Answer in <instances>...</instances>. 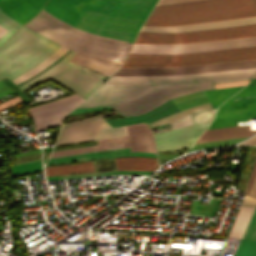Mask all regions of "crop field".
<instances>
[{
	"mask_svg": "<svg viewBox=\"0 0 256 256\" xmlns=\"http://www.w3.org/2000/svg\"><path fill=\"white\" fill-rule=\"evenodd\" d=\"M41 169H43L42 165H41V160H36V161L13 166L12 167V175L15 176V175L28 173V172H32V171H37V170H41Z\"/></svg>",
	"mask_w": 256,
	"mask_h": 256,
	"instance_id": "00972430",
	"label": "crop field"
},
{
	"mask_svg": "<svg viewBox=\"0 0 256 256\" xmlns=\"http://www.w3.org/2000/svg\"><path fill=\"white\" fill-rule=\"evenodd\" d=\"M46 0H0V9L21 25L42 8Z\"/></svg>",
	"mask_w": 256,
	"mask_h": 256,
	"instance_id": "cbeb9de0",
	"label": "crop field"
},
{
	"mask_svg": "<svg viewBox=\"0 0 256 256\" xmlns=\"http://www.w3.org/2000/svg\"><path fill=\"white\" fill-rule=\"evenodd\" d=\"M255 71L256 60L185 67H120L78 108L110 106L115 113L131 117L188 93L215 86L246 85L249 81L246 79H251ZM214 83L219 84L214 86ZM177 111L179 109L169 100L146 114L109 121L111 127L149 123Z\"/></svg>",
	"mask_w": 256,
	"mask_h": 256,
	"instance_id": "8a807250",
	"label": "crop field"
},
{
	"mask_svg": "<svg viewBox=\"0 0 256 256\" xmlns=\"http://www.w3.org/2000/svg\"><path fill=\"white\" fill-rule=\"evenodd\" d=\"M196 0H160L157 6ZM256 15V0H203L155 7L144 26H177Z\"/></svg>",
	"mask_w": 256,
	"mask_h": 256,
	"instance_id": "34b2d1b8",
	"label": "crop field"
},
{
	"mask_svg": "<svg viewBox=\"0 0 256 256\" xmlns=\"http://www.w3.org/2000/svg\"><path fill=\"white\" fill-rule=\"evenodd\" d=\"M241 204L256 205V198H252V197H248L247 195H244V198Z\"/></svg>",
	"mask_w": 256,
	"mask_h": 256,
	"instance_id": "730fd06b",
	"label": "crop field"
},
{
	"mask_svg": "<svg viewBox=\"0 0 256 256\" xmlns=\"http://www.w3.org/2000/svg\"><path fill=\"white\" fill-rule=\"evenodd\" d=\"M0 26L8 32L0 38V46L21 26L0 10Z\"/></svg>",
	"mask_w": 256,
	"mask_h": 256,
	"instance_id": "dafd665d",
	"label": "crop field"
},
{
	"mask_svg": "<svg viewBox=\"0 0 256 256\" xmlns=\"http://www.w3.org/2000/svg\"><path fill=\"white\" fill-rule=\"evenodd\" d=\"M247 59H256V55L185 61V62H171V63L125 62L122 66H185V65L218 63V62L238 61V60H247Z\"/></svg>",
	"mask_w": 256,
	"mask_h": 256,
	"instance_id": "4a817a6b",
	"label": "crop field"
},
{
	"mask_svg": "<svg viewBox=\"0 0 256 256\" xmlns=\"http://www.w3.org/2000/svg\"><path fill=\"white\" fill-rule=\"evenodd\" d=\"M255 174H256V160H255V163H254V166H253V169H252V173H251L249 182H248L247 187H246V189H245V191H244L245 193H248V191H249V189H250V186H251V184H252V182H253V179H254V177H255Z\"/></svg>",
	"mask_w": 256,
	"mask_h": 256,
	"instance_id": "4177f3b9",
	"label": "crop field"
},
{
	"mask_svg": "<svg viewBox=\"0 0 256 256\" xmlns=\"http://www.w3.org/2000/svg\"><path fill=\"white\" fill-rule=\"evenodd\" d=\"M156 2L116 0L109 15L86 9L74 28L133 42ZM24 26L65 47L119 62H123L131 45L130 42L74 29L43 10Z\"/></svg>",
	"mask_w": 256,
	"mask_h": 256,
	"instance_id": "ac0d7876",
	"label": "crop field"
},
{
	"mask_svg": "<svg viewBox=\"0 0 256 256\" xmlns=\"http://www.w3.org/2000/svg\"><path fill=\"white\" fill-rule=\"evenodd\" d=\"M227 237L242 239L235 256H256V207H240Z\"/></svg>",
	"mask_w": 256,
	"mask_h": 256,
	"instance_id": "28ad6ade",
	"label": "crop field"
},
{
	"mask_svg": "<svg viewBox=\"0 0 256 256\" xmlns=\"http://www.w3.org/2000/svg\"><path fill=\"white\" fill-rule=\"evenodd\" d=\"M248 118H256V85L245 86L224 102L208 129L234 126Z\"/></svg>",
	"mask_w": 256,
	"mask_h": 256,
	"instance_id": "d8731c3e",
	"label": "crop field"
},
{
	"mask_svg": "<svg viewBox=\"0 0 256 256\" xmlns=\"http://www.w3.org/2000/svg\"><path fill=\"white\" fill-rule=\"evenodd\" d=\"M70 61L76 62L80 65L93 69L102 74L110 75L112 72L117 70L121 63L83 54L77 53Z\"/></svg>",
	"mask_w": 256,
	"mask_h": 256,
	"instance_id": "d9b57169",
	"label": "crop field"
},
{
	"mask_svg": "<svg viewBox=\"0 0 256 256\" xmlns=\"http://www.w3.org/2000/svg\"><path fill=\"white\" fill-rule=\"evenodd\" d=\"M75 53L72 51L50 69L19 88L25 91L51 78L86 98L106 76L69 62Z\"/></svg>",
	"mask_w": 256,
	"mask_h": 256,
	"instance_id": "f4fd0767",
	"label": "crop field"
},
{
	"mask_svg": "<svg viewBox=\"0 0 256 256\" xmlns=\"http://www.w3.org/2000/svg\"><path fill=\"white\" fill-rule=\"evenodd\" d=\"M110 114L114 113L63 124L55 146L128 134L126 125L111 128L101 118Z\"/></svg>",
	"mask_w": 256,
	"mask_h": 256,
	"instance_id": "e52e79f7",
	"label": "crop field"
},
{
	"mask_svg": "<svg viewBox=\"0 0 256 256\" xmlns=\"http://www.w3.org/2000/svg\"><path fill=\"white\" fill-rule=\"evenodd\" d=\"M67 50H68V48L63 47L58 52L53 54L51 57H49L48 59L43 61L41 64H39L38 66L34 67L33 69L27 71L26 73L22 74L21 76L17 77L16 79H14L12 81L17 84V83L23 81L24 79L38 73L39 71H41L42 69L47 67L49 64H51L52 62L57 60L59 57H61Z\"/></svg>",
	"mask_w": 256,
	"mask_h": 256,
	"instance_id": "92a150f3",
	"label": "crop field"
},
{
	"mask_svg": "<svg viewBox=\"0 0 256 256\" xmlns=\"http://www.w3.org/2000/svg\"><path fill=\"white\" fill-rule=\"evenodd\" d=\"M152 171L145 170H123V171H103L94 173H83V174H72V175H62V176H51L46 177L47 180L53 179H65V178H77V177H89V176H101V175H116V174H150Z\"/></svg>",
	"mask_w": 256,
	"mask_h": 256,
	"instance_id": "214f88e0",
	"label": "crop field"
},
{
	"mask_svg": "<svg viewBox=\"0 0 256 256\" xmlns=\"http://www.w3.org/2000/svg\"><path fill=\"white\" fill-rule=\"evenodd\" d=\"M256 130H250L249 126H234L227 128L206 130L204 134L199 138V142L223 140L230 138L246 137L254 134Z\"/></svg>",
	"mask_w": 256,
	"mask_h": 256,
	"instance_id": "733c2abd",
	"label": "crop field"
},
{
	"mask_svg": "<svg viewBox=\"0 0 256 256\" xmlns=\"http://www.w3.org/2000/svg\"><path fill=\"white\" fill-rule=\"evenodd\" d=\"M252 54H256V48H238L184 55L129 54L126 61L170 62Z\"/></svg>",
	"mask_w": 256,
	"mask_h": 256,
	"instance_id": "22f410ed",
	"label": "crop field"
},
{
	"mask_svg": "<svg viewBox=\"0 0 256 256\" xmlns=\"http://www.w3.org/2000/svg\"><path fill=\"white\" fill-rule=\"evenodd\" d=\"M94 144H97L96 140L88 141V142H82V143H76V144H70V145H64V146H58V147H55L54 150L64 149V148H71V147L86 146V145H94Z\"/></svg>",
	"mask_w": 256,
	"mask_h": 256,
	"instance_id": "a9b5d70f",
	"label": "crop field"
},
{
	"mask_svg": "<svg viewBox=\"0 0 256 256\" xmlns=\"http://www.w3.org/2000/svg\"><path fill=\"white\" fill-rule=\"evenodd\" d=\"M113 3L114 0H48L43 10L73 27L86 8L109 13Z\"/></svg>",
	"mask_w": 256,
	"mask_h": 256,
	"instance_id": "3316defc",
	"label": "crop field"
},
{
	"mask_svg": "<svg viewBox=\"0 0 256 256\" xmlns=\"http://www.w3.org/2000/svg\"><path fill=\"white\" fill-rule=\"evenodd\" d=\"M240 87H230V88H220V89H213L208 90L207 95L208 99L211 105L212 113H215V109L227 98H229L231 95H233L235 92H237Z\"/></svg>",
	"mask_w": 256,
	"mask_h": 256,
	"instance_id": "bc2a9ffb",
	"label": "crop field"
},
{
	"mask_svg": "<svg viewBox=\"0 0 256 256\" xmlns=\"http://www.w3.org/2000/svg\"><path fill=\"white\" fill-rule=\"evenodd\" d=\"M247 36H256V25L179 34L140 32L135 43L183 44Z\"/></svg>",
	"mask_w": 256,
	"mask_h": 256,
	"instance_id": "dd49c442",
	"label": "crop field"
},
{
	"mask_svg": "<svg viewBox=\"0 0 256 256\" xmlns=\"http://www.w3.org/2000/svg\"><path fill=\"white\" fill-rule=\"evenodd\" d=\"M112 150H118V151L97 153V152L112 151ZM103 151H96V152H89V153H82V154H75V155L53 157V158L49 159L47 166L48 165H54V164L68 163V162L90 160V159H96V158H102V157H110V156H148V157L156 158L155 153H151V152H131L130 147L109 149V150H103Z\"/></svg>",
	"mask_w": 256,
	"mask_h": 256,
	"instance_id": "5142ce71",
	"label": "crop field"
},
{
	"mask_svg": "<svg viewBox=\"0 0 256 256\" xmlns=\"http://www.w3.org/2000/svg\"><path fill=\"white\" fill-rule=\"evenodd\" d=\"M127 127H128L132 151L156 152L153 136L148 125L137 124V125H130ZM97 142H98V146H94V147L55 151L51 153L50 157L130 146L128 135L115 137V138L100 139V140H97Z\"/></svg>",
	"mask_w": 256,
	"mask_h": 256,
	"instance_id": "5a996713",
	"label": "crop field"
},
{
	"mask_svg": "<svg viewBox=\"0 0 256 256\" xmlns=\"http://www.w3.org/2000/svg\"><path fill=\"white\" fill-rule=\"evenodd\" d=\"M256 77V74H255V76L253 77V79Z\"/></svg>",
	"mask_w": 256,
	"mask_h": 256,
	"instance_id": "d3111659",
	"label": "crop field"
},
{
	"mask_svg": "<svg viewBox=\"0 0 256 256\" xmlns=\"http://www.w3.org/2000/svg\"><path fill=\"white\" fill-rule=\"evenodd\" d=\"M256 197V196H255Z\"/></svg>",
	"mask_w": 256,
	"mask_h": 256,
	"instance_id": "750c4746",
	"label": "crop field"
},
{
	"mask_svg": "<svg viewBox=\"0 0 256 256\" xmlns=\"http://www.w3.org/2000/svg\"><path fill=\"white\" fill-rule=\"evenodd\" d=\"M120 169H145L154 170L157 168V160L147 157H117ZM99 171L97 161H85L66 165L45 167V176L62 175L72 173H83Z\"/></svg>",
	"mask_w": 256,
	"mask_h": 256,
	"instance_id": "d1516ede",
	"label": "crop field"
},
{
	"mask_svg": "<svg viewBox=\"0 0 256 256\" xmlns=\"http://www.w3.org/2000/svg\"><path fill=\"white\" fill-rule=\"evenodd\" d=\"M61 47L22 26L0 48V79L7 76L11 80L19 76ZM13 63L15 64L12 65Z\"/></svg>",
	"mask_w": 256,
	"mask_h": 256,
	"instance_id": "412701ff",
	"label": "crop field"
},
{
	"mask_svg": "<svg viewBox=\"0 0 256 256\" xmlns=\"http://www.w3.org/2000/svg\"><path fill=\"white\" fill-rule=\"evenodd\" d=\"M244 144H254L256 145V135L253 136L251 139H249L248 141L244 142Z\"/></svg>",
	"mask_w": 256,
	"mask_h": 256,
	"instance_id": "ae1a2a85",
	"label": "crop field"
},
{
	"mask_svg": "<svg viewBox=\"0 0 256 256\" xmlns=\"http://www.w3.org/2000/svg\"><path fill=\"white\" fill-rule=\"evenodd\" d=\"M255 194H256V177H255L254 182L252 184V187H251V189L249 191V195L254 197Z\"/></svg>",
	"mask_w": 256,
	"mask_h": 256,
	"instance_id": "eef30255",
	"label": "crop field"
}]
</instances>
